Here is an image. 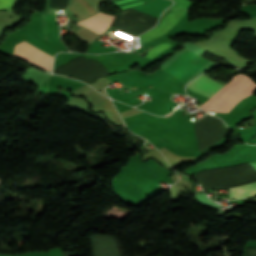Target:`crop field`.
Here are the masks:
<instances>
[{
    "instance_id": "obj_1",
    "label": "crop field",
    "mask_w": 256,
    "mask_h": 256,
    "mask_svg": "<svg viewBox=\"0 0 256 256\" xmlns=\"http://www.w3.org/2000/svg\"><path fill=\"white\" fill-rule=\"evenodd\" d=\"M254 90H256V85L252 80L239 74L199 107L204 111L228 113L239 101L250 96Z\"/></svg>"
},
{
    "instance_id": "obj_2",
    "label": "crop field",
    "mask_w": 256,
    "mask_h": 256,
    "mask_svg": "<svg viewBox=\"0 0 256 256\" xmlns=\"http://www.w3.org/2000/svg\"><path fill=\"white\" fill-rule=\"evenodd\" d=\"M207 63L208 61L186 50L164 70L185 83Z\"/></svg>"
},
{
    "instance_id": "obj_3",
    "label": "crop field",
    "mask_w": 256,
    "mask_h": 256,
    "mask_svg": "<svg viewBox=\"0 0 256 256\" xmlns=\"http://www.w3.org/2000/svg\"><path fill=\"white\" fill-rule=\"evenodd\" d=\"M13 55L43 70L51 72L53 58L35 50L23 42L15 45Z\"/></svg>"
},
{
    "instance_id": "obj_4",
    "label": "crop field",
    "mask_w": 256,
    "mask_h": 256,
    "mask_svg": "<svg viewBox=\"0 0 256 256\" xmlns=\"http://www.w3.org/2000/svg\"><path fill=\"white\" fill-rule=\"evenodd\" d=\"M185 12L186 10H173L169 12V14L164 17L157 27H154L153 29L139 35L140 43L143 44L171 29Z\"/></svg>"
},
{
    "instance_id": "obj_5",
    "label": "crop field",
    "mask_w": 256,
    "mask_h": 256,
    "mask_svg": "<svg viewBox=\"0 0 256 256\" xmlns=\"http://www.w3.org/2000/svg\"><path fill=\"white\" fill-rule=\"evenodd\" d=\"M223 86L224 85L204 75H201L198 78H196L194 81L189 83L188 87L187 86L186 87L194 92H197L205 97L210 98Z\"/></svg>"
},
{
    "instance_id": "obj_6",
    "label": "crop field",
    "mask_w": 256,
    "mask_h": 256,
    "mask_svg": "<svg viewBox=\"0 0 256 256\" xmlns=\"http://www.w3.org/2000/svg\"><path fill=\"white\" fill-rule=\"evenodd\" d=\"M113 18H114L113 15H109V14L100 12L99 14H97L81 23H78V24H80L82 26L84 25V26L101 34L112 23Z\"/></svg>"
},
{
    "instance_id": "obj_7",
    "label": "crop field",
    "mask_w": 256,
    "mask_h": 256,
    "mask_svg": "<svg viewBox=\"0 0 256 256\" xmlns=\"http://www.w3.org/2000/svg\"><path fill=\"white\" fill-rule=\"evenodd\" d=\"M256 195V183L230 189L229 197L243 198Z\"/></svg>"
},
{
    "instance_id": "obj_8",
    "label": "crop field",
    "mask_w": 256,
    "mask_h": 256,
    "mask_svg": "<svg viewBox=\"0 0 256 256\" xmlns=\"http://www.w3.org/2000/svg\"><path fill=\"white\" fill-rule=\"evenodd\" d=\"M171 46H173V45L168 42L156 45L148 51L147 58L151 59L152 57L156 56L159 52H161Z\"/></svg>"
},
{
    "instance_id": "obj_9",
    "label": "crop field",
    "mask_w": 256,
    "mask_h": 256,
    "mask_svg": "<svg viewBox=\"0 0 256 256\" xmlns=\"http://www.w3.org/2000/svg\"><path fill=\"white\" fill-rule=\"evenodd\" d=\"M175 4L170 8H186L189 9V7L192 5V2L189 0H174Z\"/></svg>"
},
{
    "instance_id": "obj_10",
    "label": "crop field",
    "mask_w": 256,
    "mask_h": 256,
    "mask_svg": "<svg viewBox=\"0 0 256 256\" xmlns=\"http://www.w3.org/2000/svg\"><path fill=\"white\" fill-rule=\"evenodd\" d=\"M13 0H0V10H9Z\"/></svg>"
},
{
    "instance_id": "obj_11",
    "label": "crop field",
    "mask_w": 256,
    "mask_h": 256,
    "mask_svg": "<svg viewBox=\"0 0 256 256\" xmlns=\"http://www.w3.org/2000/svg\"><path fill=\"white\" fill-rule=\"evenodd\" d=\"M141 3H143V2L141 1V2H137V3L129 4V5L122 6V7H118V8H119V9H121V10H123V9H125V8L132 7V6H135V5L141 4Z\"/></svg>"
},
{
    "instance_id": "obj_12",
    "label": "crop field",
    "mask_w": 256,
    "mask_h": 256,
    "mask_svg": "<svg viewBox=\"0 0 256 256\" xmlns=\"http://www.w3.org/2000/svg\"><path fill=\"white\" fill-rule=\"evenodd\" d=\"M125 1H129V0H123V1H120V2L112 3V5L122 3V2H125Z\"/></svg>"
}]
</instances>
